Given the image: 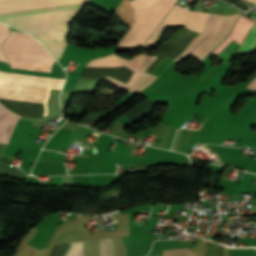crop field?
Masks as SVG:
<instances>
[{
    "instance_id": "2",
    "label": "crop field",
    "mask_w": 256,
    "mask_h": 256,
    "mask_svg": "<svg viewBox=\"0 0 256 256\" xmlns=\"http://www.w3.org/2000/svg\"><path fill=\"white\" fill-rule=\"evenodd\" d=\"M177 0H132L130 5L135 9L134 24L122 38L117 48L143 47L155 31L167 12ZM210 14L197 11H187L186 8L174 6L160 27L153 34L146 46L158 41V36L168 25H184L185 28L201 32Z\"/></svg>"
},
{
    "instance_id": "6",
    "label": "crop field",
    "mask_w": 256,
    "mask_h": 256,
    "mask_svg": "<svg viewBox=\"0 0 256 256\" xmlns=\"http://www.w3.org/2000/svg\"><path fill=\"white\" fill-rule=\"evenodd\" d=\"M222 15L218 14H212L205 30L201 35H199L197 38H195L188 49L184 51L176 60L175 62L179 63L183 59H185L187 56L191 55L193 56L196 51L206 42V40L214 33V31L217 29L221 19Z\"/></svg>"
},
{
    "instance_id": "5",
    "label": "crop field",
    "mask_w": 256,
    "mask_h": 256,
    "mask_svg": "<svg viewBox=\"0 0 256 256\" xmlns=\"http://www.w3.org/2000/svg\"><path fill=\"white\" fill-rule=\"evenodd\" d=\"M132 72H133L132 70H130L124 66L115 67V68L85 67L81 76L100 81L105 75H108L116 80H119V81L127 84Z\"/></svg>"
},
{
    "instance_id": "8",
    "label": "crop field",
    "mask_w": 256,
    "mask_h": 256,
    "mask_svg": "<svg viewBox=\"0 0 256 256\" xmlns=\"http://www.w3.org/2000/svg\"><path fill=\"white\" fill-rule=\"evenodd\" d=\"M255 21L249 20L241 15L238 22L236 23L231 35L213 52L214 54L222 50L229 42L233 39L241 43L245 38Z\"/></svg>"
},
{
    "instance_id": "7",
    "label": "crop field",
    "mask_w": 256,
    "mask_h": 256,
    "mask_svg": "<svg viewBox=\"0 0 256 256\" xmlns=\"http://www.w3.org/2000/svg\"><path fill=\"white\" fill-rule=\"evenodd\" d=\"M21 118L0 104V143H7L15 123Z\"/></svg>"
},
{
    "instance_id": "9",
    "label": "crop field",
    "mask_w": 256,
    "mask_h": 256,
    "mask_svg": "<svg viewBox=\"0 0 256 256\" xmlns=\"http://www.w3.org/2000/svg\"><path fill=\"white\" fill-rule=\"evenodd\" d=\"M100 256H113L110 238L98 239ZM65 256H83L82 241L73 242Z\"/></svg>"
},
{
    "instance_id": "10",
    "label": "crop field",
    "mask_w": 256,
    "mask_h": 256,
    "mask_svg": "<svg viewBox=\"0 0 256 256\" xmlns=\"http://www.w3.org/2000/svg\"><path fill=\"white\" fill-rule=\"evenodd\" d=\"M0 71H4V72H8V73H14V74H23V75H32V76H42V77L65 79V73L64 72L51 71V73H46V72L14 69V68H9L8 62L3 61V60H0Z\"/></svg>"
},
{
    "instance_id": "15",
    "label": "crop field",
    "mask_w": 256,
    "mask_h": 256,
    "mask_svg": "<svg viewBox=\"0 0 256 256\" xmlns=\"http://www.w3.org/2000/svg\"><path fill=\"white\" fill-rule=\"evenodd\" d=\"M254 210H255V213H256V206H254Z\"/></svg>"
},
{
    "instance_id": "4",
    "label": "crop field",
    "mask_w": 256,
    "mask_h": 256,
    "mask_svg": "<svg viewBox=\"0 0 256 256\" xmlns=\"http://www.w3.org/2000/svg\"><path fill=\"white\" fill-rule=\"evenodd\" d=\"M149 56L145 55V54H140L135 56L134 58L127 60L124 58H120L115 56V54L106 56L104 58L101 59H95V60H90L89 63L86 66H91V67H113V66H120V65H124L132 70H134L135 72H133L129 82L127 85L118 82L114 79H111L109 77L106 76L105 81L114 84L122 89H125L127 91L130 90V88L133 86V84L135 83V81L138 79V77L141 75L142 71H140L139 69L141 68V66L144 64V62L148 59Z\"/></svg>"
},
{
    "instance_id": "11",
    "label": "crop field",
    "mask_w": 256,
    "mask_h": 256,
    "mask_svg": "<svg viewBox=\"0 0 256 256\" xmlns=\"http://www.w3.org/2000/svg\"><path fill=\"white\" fill-rule=\"evenodd\" d=\"M254 49H256V25L251 29L243 41L238 54L243 52H250Z\"/></svg>"
},
{
    "instance_id": "13",
    "label": "crop field",
    "mask_w": 256,
    "mask_h": 256,
    "mask_svg": "<svg viewBox=\"0 0 256 256\" xmlns=\"http://www.w3.org/2000/svg\"><path fill=\"white\" fill-rule=\"evenodd\" d=\"M247 88L256 90V77L249 83Z\"/></svg>"
},
{
    "instance_id": "14",
    "label": "crop field",
    "mask_w": 256,
    "mask_h": 256,
    "mask_svg": "<svg viewBox=\"0 0 256 256\" xmlns=\"http://www.w3.org/2000/svg\"><path fill=\"white\" fill-rule=\"evenodd\" d=\"M248 1L253 2V3H256V0H248Z\"/></svg>"
},
{
    "instance_id": "1",
    "label": "crop field",
    "mask_w": 256,
    "mask_h": 256,
    "mask_svg": "<svg viewBox=\"0 0 256 256\" xmlns=\"http://www.w3.org/2000/svg\"><path fill=\"white\" fill-rule=\"evenodd\" d=\"M85 2L86 0H0V19L78 8L83 7ZM79 9L0 21L10 23L36 37L58 61L67 42L66 30L69 22Z\"/></svg>"
},
{
    "instance_id": "3",
    "label": "crop field",
    "mask_w": 256,
    "mask_h": 256,
    "mask_svg": "<svg viewBox=\"0 0 256 256\" xmlns=\"http://www.w3.org/2000/svg\"><path fill=\"white\" fill-rule=\"evenodd\" d=\"M1 49L14 68L50 72L54 62L39 43L19 32H11Z\"/></svg>"
},
{
    "instance_id": "12",
    "label": "crop field",
    "mask_w": 256,
    "mask_h": 256,
    "mask_svg": "<svg viewBox=\"0 0 256 256\" xmlns=\"http://www.w3.org/2000/svg\"><path fill=\"white\" fill-rule=\"evenodd\" d=\"M4 146H5V144H0V174L24 179L26 174L24 172H22L21 170H16V169H12V168L3 166L2 160H1V153L4 149Z\"/></svg>"
}]
</instances>
